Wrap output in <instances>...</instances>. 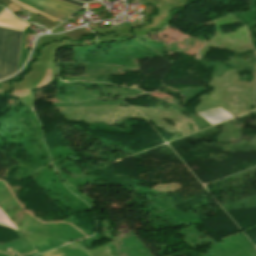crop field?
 Instances as JSON below:
<instances>
[{
    "label": "crop field",
    "mask_w": 256,
    "mask_h": 256,
    "mask_svg": "<svg viewBox=\"0 0 256 256\" xmlns=\"http://www.w3.org/2000/svg\"><path fill=\"white\" fill-rule=\"evenodd\" d=\"M22 32L0 27V79L16 72Z\"/></svg>",
    "instance_id": "1"
},
{
    "label": "crop field",
    "mask_w": 256,
    "mask_h": 256,
    "mask_svg": "<svg viewBox=\"0 0 256 256\" xmlns=\"http://www.w3.org/2000/svg\"><path fill=\"white\" fill-rule=\"evenodd\" d=\"M0 25L24 31L29 24L13 17L7 10L0 14Z\"/></svg>",
    "instance_id": "2"
},
{
    "label": "crop field",
    "mask_w": 256,
    "mask_h": 256,
    "mask_svg": "<svg viewBox=\"0 0 256 256\" xmlns=\"http://www.w3.org/2000/svg\"><path fill=\"white\" fill-rule=\"evenodd\" d=\"M28 1H31L33 3L41 5L43 7H46V8H49L51 10H54L56 12H59V13L65 15V16H67V17H69L73 12H75V10H72V9H69V8H66V7L48 2V1H44V0H28Z\"/></svg>",
    "instance_id": "3"
},
{
    "label": "crop field",
    "mask_w": 256,
    "mask_h": 256,
    "mask_svg": "<svg viewBox=\"0 0 256 256\" xmlns=\"http://www.w3.org/2000/svg\"><path fill=\"white\" fill-rule=\"evenodd\" d=\"M11 1H13L14 3H16V4H18V5H20V6H22L23 8H25V9H27V10H30V11H32L33 13H36V14H40V15H42V16H45V17H47V18H49V19H51V20H55V18H52V17H50V16H47V15H45V14H43V13H40V12H38V11H36V10H34V9H31V8H29V7H27V6H25V5H23V4H21V3H19V2H17L16 0H11Z\"/></svg>",
    "instance_id": "4"
},
{
    "label": "crop field",
    "mask_w": 256,
    "mask_h": 256,
    "mask_svg": "<svg viewBox=\"0 0 256 256\" xmlns=\"http://www.w3.org/2000/svg\"><path fill=\"white\" fill-rule=\"evenodd\" d=\"M48 1H51V2H54V3H57V4H60V5H63V6H66V7H69V8H72V9H79L80 7H77V6H73V5H70V4H67V3H64V2H61V1H57V0H48Z\"/></svg>",
    "instance_id": "5"
},
{
    "label": "crop field",
    "mask_w": 256,
    "mask_h": 256,
    "mask_svg": "<svg viewBox=\"0 0 256 256\" xmlns=\"http://www.w3.org/2000/svg\"><path fill=\"white\" fill-rule=\"evenodd\" d=\"M61 1H64V2H67V3H70V4H74V5H77V6H80V7H82L84 5L83 3H79V2H76V1H73V0H61Z\"/></svg>",
    "instance_id": "6"
},
{
    "label": "crop field",
    "mask_w": 256,
    "mask_h": 256,
    "mask_svg": "<svg viewBox=\"0 0 256 256\" xmlns=\"http://www.w3.org/2000/svg\"><path fill=\"white\" fill-rule=\"evenodd\" d=\"M22 73H23V71L19 72L18 74L14 75L13 77H11L10 79H7V80H11V79H13V78L19 76V75L22 74ZM7 80H4V81H7ZM2 82H3V81H2Z\"/></svg>",
    "instance_id": "7"
},
{
    "label": "crop field",
    "mask_w": 256,
    "mask_h": 256,
    "mask_svg": "<svg viewBox=\"0 0 256 256\" xmlns=\"http://www.w3.org/2000/svg\"><path fill=\"white\" fill-rule=\"evenodd\" d=\"M80 1H84V2H90V1H93V0H80Z\"/></svg>",
    "instance_id": "8"
},
{
    "label": "crop field",
    "mask_w": 256,
    "mask_h": 256,
    "mask_svg": "<svg viewBox=\"0 0 256 256\" xmlns=\"http://www.w3.org/2000/svg\"><path fill=\"white\" fill-rule=\"evenodd\" d=\"M109 2H111V1H114V0H108Z\"/></svg>",
    "instance_id": "9"
}]
</instances>
